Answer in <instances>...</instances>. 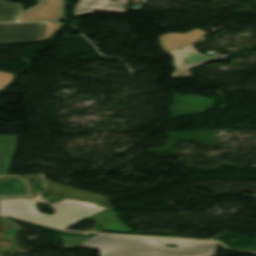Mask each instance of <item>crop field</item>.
Instances as JSON below:
<instances>
[{
  "instance_id": "1",
  "label": "crop field",
  "mask_w": 256,
  "mask_h": 256,
  "mask_svg": "<svg viewBox=\"0 0 256 256\" xmlns=\"http://www.w3.org/2000/svg\"><path fill=\"white\" fill-rule=\"evenodd\" d=\"M165 244L178 248L164 247ZM218 243L98 234L78 247L98 248L100 256H214Z\"/></svg>"
},
{
  "instance_id": "2",
  "label": "crop field",
  "mask_w": 256,
  "mask_h": 256,
  "mask_svg": "<svg viewBox=\"0 0 256 256\" xmlns=\"http://www.w3.org/2000/svg\"><path fill=\"white\" fill-rule=\"evenodd\" d=\"M36 202L38 201L25 199L0 200V214L46 224L60 229H66L84 218L104 211L40 202L50 205L51 208L55 210V213L52 216H49L38 212L35 206Z\"/></svg>"
},
{
  "instance_id": "3",
  "label": "crop field",
  "mask_w": 256,
  "mask_h": 256,
  "mask_svg": "<svg viewBox=\"0 0 256 256\" xmlns=\"http://www.w3.org/2000/svg\"><path fill=\"white\" fill-rule=\"evenodd\" d=\"M61 26L48 22L0 24V45L47 40Z\"/></svg>"
},
{
  "instance_id": "4",
  "label": "crop field",
  "mask_w": 256,
  "mask_h": 256,
  "mask_svg": "<svg viewBox=\"0 0 256 256\" xmlns=\"http://www.w3.org/2000/svg\"><path fill=\"white\" fill-rule=\"evenodd\" d=\"M169 54L173 57V66L176 69L172 78L191 77L190 69L217 60L215 57L200 54L193 47H187ZM184 61H187V63L184 64Z\"/></svg>"
},
{
  "instance_id": "5",
  "label": "crop field",
  "mask_w": 256,
  "mask_h": 256,
  "mask_svg": "<svg viewBox=\"0 0 256 256\" xmlns=\"http://www.w3.org/2000/svg\"><path fill=\"white\" fill-rule=\"evenodd\" d=\"M66 0H43L41 5L27 12L20 21L49 20L57 22L64 19Z\"/></svg>"
},
{
  "instance_id": "6",
  "label": "crop field",
  "mask_w": 256,
  "mask_h": 256,
  "mask_svg": "<svg viewBox=\"0 0 256 256\" xmlns=\"http://www.w3.org/2000/svg\"><path fill=\"white\" fill-rule=\"evenodd\" d=\"M6 176H9V180L3 179ZM18 196L36 197V195L32 194L30 181L19 175H0V198Z\"/></svg>"
},
{
  "instance_id": "7",
  "label": "crop field",
  "mask_w": 256,
  "mask_h": 256,
  "mask_svg": "<svg viewBox=\"0 0 256 256\" xmlns=\"http://www.w3.org/2000/svg\"><path fill=\"white\" fill-rule=\"evenodd\" d=\"M130 0H80L74 15L93 13L95 10L126 12Z\"/></svg>"
},
{
  "instance_id": "8",
  "label": "crop field",
  "mask_w": 256,
  "mask_h": 256,
  "mask_svg": "<svg viewBox=\"0 0 256 256\" xmlns=\"http://www.w3.org/2000/svg\"><path fill=\"white\" fill-rule=\"evenodd\" d=\"M206 32L203 30L194 29L186 34L169 33L158 37L160 45L166 52L168 50L176 49L182 46L189 45L198 39L202 38Z\"/></svg>"
},
{
  "instance_id": "9",
  "label": "crop field",
  "mask_w": 256,
  "mask_h": 256,
  "mask_svg": "<svg viewBox=\"0 0 256 256\" xmlns=\"http://www.w3.org/2000/svg\"><path fill=\"white\" fill-rule=\"evenodd\" d=\"M18 136H0V174H8Z\"/></svg>"
},
{
  "instance_id": "10",
  "label": "crop field",
  "mask_w": 256,
  "mask_h": 256,
  "mask_svg": "<svg viewBox=\"0 0 256 256\" xmlns=\"http://www.w3.org/2000/svg\"><path fill=\"white\" fill-rule=\"evenodd\" d=\"M23 12V5L9 4L0 0V22L15 21Z\"/></svg>"
},
{
  "instance_id": "11",
  "label": "crop field",
  "mask_w": 256,
  "mask_h": 256,
  "mask_svg": "<svg viewBox=\"0 0 256 256\" xmlns=\"http://www.w3.org/2000/svg\"><path fill=\"white\" fill-rule=\"evenodd\" d=\"M59 238L63 240L62 246L68 250L78 246L79 244L89 239V238L66 237V236H59Z\"/></svg>"
},
{
  "instance_id": "12",
  "label": "crop field",
  "mask_w": 256,
  "mask_h": 256,
  "mask_svg": "<svg viewBox=\"0 0 256 256\" xmlns=\"http://www.w3.org/2000/svg\"><path fill=\"white\" fill-rule=\"evenodd\" d=\"M36 200L48 202V201H46V200H42L41 197H40V195L38 196V198H37ZM51 202H52V201H51ZM55 203L67 204V205H75V206H83V207H91V208H99V209H104V210H106V208H100V207H97L96 205L91 204V203L80 202V201H75V200H64V201L55 202Z\"/></svg>"
},
{
  "instance_id": "13",
  "label": "crop field",
  "mask_w": 256,
  "mask_h": 256,
  "mask_svg": "<svg viewBox=\"0 0 256 256\" xmlns=\"http://www.w3.org/2000/svg\"><path fill=\"white\" fill-rule=\"evenodd\" d=\"M12 78V75L0 72V89L4 88Z\"/></svg>"
},
{
  "instance_id": "14",
  "label": "crop field",
  "mask_w": 256,
  "mask_h": 256,
  "mask_svg": "<svg viewBox=\"0 0 256 256\" xmlns=\"http://www.w3.org/2000/svg\"><path fill=\"white\" fill-rule=\"evenodd\" d=\"M31 1H34V2H36V3H40V0H31Z\"/></svg>"
}]
</instances>
